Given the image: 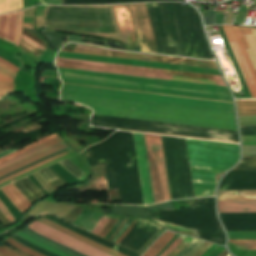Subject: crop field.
<instances>
[{"label": "crop field", "mask_w": 256, "mask_h": 256, "mask_svg": "<svg viewBox=\"0 0 256 256\" xmlns=\"http://www.w3.org/2000/svg\"><path fill=\"white\" fill-rule=\"evenodd\" d=\"M94 114L236 130L234 113L61 93Z\"/></svg>", "instance_id": "1"}, {"label": "crop field", "mask_w": 256, "mask_h": 256, "mask_svg": "<svg viewBox=\"0 0 256 256\" xmlns=\"http://www.w3.org/2000/svg\"><path fill=\"white\" fill-rule=\"evenodd\" d=\"M195 197L214 195V176L233 166L239 146L186 139Z\"/></svg>", "instance_id": "2"}, {"label": "crop field", "mask_w": 256, "mask_h": 256, "mask_svg": "<svg viewBox=\"0 0 256 256\" xmlns=\"http://www.w3.org/2000/svg\"><path fill=\"white\" fill-rule=\"evenodd\" d=\"M56 66L63 68H73V69H83V70H92V71H101V72H110V73H119V74H128V75H137V76H146V77H156V78H166L175 81H185V82H194V83H203V84H213V85H222L226 86L221 78L217 75L206 74L207 79L217 80H201V78H206L205 74L200 73H190V72H180V71H170V70H160V69H150L134 66H125L117 64H108L92 61H83L67 58H56ZM160 71L166 73L153 72Z\"/></svg>", "instance_id": "3"}, {"label": "crop field", "mask_w": 256, "mask_h": 256, "mask_svg": "<svg viewBox=\"0 0 256 256\" xmlns=\"http://www.w3.org/2000/svg\"><path fill=\"white\" fill-rule=\"evenodd\" d=\"M222 26L224 28V31H225V34L227 36L228 41L229 42L236 41L242 55H244V57L246 59V62L248 64L249 69L251 71V74L253 76L252 79H253L254 86H250V84L253 85L252 80H251L252 76H251L250 71L247 67V64L245 62L244 57H242L241 54H240V51H239L236 43L235 42L229 43L231 48H232V51H233V53L236 57V60L239 64V67H240L241 71H242L243 66L241 68V66H240L241 62L239 63V61H242L243 65H244L245 71H246L248 79L250 81V84H249L247 76L245 74L246 80H247L246 83L248 85V88L251 92L252 97L256 98V69L252 70V68L253 69L256 68V29H251L252 35H247V34H251L250 28H241V27H237V26H233V25H222ZM242 35H247V36H243V37H244L249 49H246L248 47H247ZM243 49H246L244 51H245V53H246V55L249 59V62L251 64L252 68H251V66H250V64L247 60V57H246ZM242 63H241V65H242ZM244 68H243V71H244ZM243 71H242V73H243ZM245 71H244V73H245ZM243 76H244V74H243Z\"/></svg>", "instance_id": "4"}, {"label": "crop field", "mask_w": 256, "mask_h": 256, "mask_svg": "<svg viewBox=\"0 0 256 256\" xmlns=\"http://www.w3.org/2000/svg\"><path fill=\"white\" fill-rule=\"evenodd\" d=\"M61 51L217 69L215 63L210 61L115 51L96 46L74 43H69Z\"/></svg>", "instance_id": "5"}, {"label": "crop field", "mask_w": 256, "mask_h": 256, "mask_svg": "<svg viewBox=\"0 0 256 256\" xmlns=\"http://www.w3.org/2000/svg\"><path fill=\"white\" fill-rule=\"evenodd\" d=\"M155 203L170 200L160 136L144 134Z\"/></svg>", "instance_id": "6"}, {"label": "crop field", "mask_w": 256, "mask_h": 256, "mask_svg": "<svg viewBox=\"0 0 256 256\" xmlns=\"http://www.w3.org/2000/svg\"><path fill=\"white\" fill-rule=\"evenodd\" d=\"M128 5L139 42L140 50L145 52L158 53L146 4L136 3Z\"/></svg>", "instance_id": "7"}, {"label": "crop field", "mask_w": 256, "mask_h": 256, "mask_svg": "<svg viewBox=\"0 0 256 256\" xmlns=\"http://www.w3.org/2000/svg\"><path fill=\"white\" fill-rule=\"evenodd\" d=\"M28 228L34 230L38 234L49 238L59 244H62L66 247H69L73 250H76L87 256H110L105 254L95 248H92L84 243H81L57 230H54L38 221L32 223Z\"/></svg>", "instance_id": "8"}, {"label": "crop field", "mask_w": 256, "mask_h": 256, "mask_svg": "<svg viewBox=\"0 0 256 256\" xmlns=\"http://www.w3.org/2000/svg\"><path fill=\"white\" fill-rule=\"evenodd\" d=\"M144 202L154 203L143 134L133 133Z\"/></svg>", "instance_id": "9"}, {"label": "crop field", "mask_w": 256, "mask_h": 256, "mask_svg": "<svg viewBox=\"0 0 256 256\" xmlns=\"http://www.w3.org/2000/svg\"><path fill=\"white\" fill-rule=\"evenodd\" d=\"M117 22L119 25L122 41L124 43L136 44L132 24L130 21L128 9L126 4L113 5Z\"/></svg>", "instance_id": "10"}, {"label": "crop field", "mask_w": 256, "mask_h": 256, "mask_svg": "<svg viewBox=\"0 0 256 256\" xmlns=\"http://www.w3.org/2000/svg\"><path fill=\"white\" fill-rule=\"evenodd\" d=\"M65 148H68V146L64 142H62V143H59V144L54 145L52 147H49L45 150H42L40 152H37V153H35V154L25 158V159L13 164V165H10L6 168L1 169L0 170V177L6 175L8 173H11V172H13V171H15L19 168H22V167H24L28 164H31V163L39 160V159H42V158H44L48 155H51V154H53V153H55L59 150L65 149Z\"/></svg>", "instance_id": "11"}, {"label": "crop field", "mask_w": 256, "mask_h": 256, "mask_svg": "<svg viewBox=\"0 0 256 256\" xmlns=\"http://www.w3.org/2000/svg\"><path fill=\"white\" fill-rule=\"evenodd\" d=\"M18 12L0 16V38L14 43L16 39Z\"/></svg>", "instance_id": "12"}, {"label": "crop field", "mask_w": 256, "mask_h": 256, "mask_svg": "<svg viewBox=\"0 0 256 256\" xmlns=\"http://www.w3.org/2000/svg\"><path fill=\"white\" fill-rule=\"evenodd\" d=\"M38 221H40V222H42V223H44V224H46V225H48V226H50V227H52L54 229H57V230L65 233V234H67V235H69V236H71V237L81 241V242H84V243H86V244H88V245H90L92 247H95V248H97V249H99V250H101L103 252H106V253H108V254H110L112 256H125V255H123L121 253H118V252H116V251H114V250H112V249H110L108 247H105V246H103V245H101V244H99L97 242H94V241H92V240H90V239H88V238H86L84 236H81V235H79V234H77V233H75L73 231H70V230L65 229L63 227L55 225L56 223L53 224V223L47 221L44 218H41Z\"/></svg>", "instance_id": "13"}, {"label": "crop field", "mask_w": 256, "mask_h": 256, "mask_svg": "<svg viewBox=\"0 0 256 256\" xmlns=\"http://www.w3.org/2000/svg\"><path fill=\"white\" fill-rule=\"evenodd\" d=\"M219 213L256 212V201L250 202H218Z\"/></svg>", "instance_id": "14"}, {"label": "crop field", "mask_w": 256, "mask_h": 256, "mask_svg": "<svg viewBox=\"0 0 256 256\" xmlns=\"http://www.w3.org/2000/svg\"><path fill=\"white\" fill-rule=\"evenodd\" d=\"M17 207V209L23 215L24 211L27 210L32 204L11 184L0 189Z\"/></svg>", "instance_id": "15"}, {"label": "crop field", "mask_w": 256, "mask_h": 256, "mask_svg": "<svg viewBox=\"0 0 256 256\" xmlns=\"http://www.w3.org/2000/svg\"><path fill=\"white\" fill-rule=\"evenodd\" d=\"M218 200H256V191H219Z\"/></svg>", "instance_id": "16"}, {"label": "crop field", "mask_w": 256, "mask_h": 256, "mask_svg": "<svg viewBox=\"0 0 256 256\" xmlns=\"http://www.w3.org/2000/svg\"><path fill=\"white\" fill-rule=\"evenodd\" d=\"M174 235V233L168 231L162 234L159 239L147 249L143 256H156Z\"/></svg>", "instance_id": "17"}, {"label": "crop field", "mask_w": 256, "mask_h": 256, "mask_svg": "<svg viewBox=\"0 0 256 256\" xmlns=\"http://www.w3.org/2000/svg\"><path fill=\"white\" fill-rule=\"evenodd\" d=\"M62 140H63V139H62ZM62 140H61L60 137L55 138V139H53V140H50V141H48V142H46V143H44V144H42V145H40V146H38V147H36V148H34V149H32V150L26 152V153H23V154H21V155H19V156H16V157H14V158H12V159H10V160H8V161H6V162L0 164V169L3 168V167L8 166V165H10V164H12V163H14V162L20 160V159H23V158H25V157H27V156H29V155H31V154L37 152V151H40V150H42V149H45V148H47V147H49V146H52V145H54V144H57V143L61 142Z\"/></svg>", "instance_id": "18"}, {"label": "crop field", "mask_w": 256, "mask_h": 256, "mask_svg": "<svg viewBox=\"0 0 256 256\" xmlns=\"http://www.w3.org/2000/svg\"><path fill=\"white\" fill-rule=\"evenodd\" d=\"M239 116H256V101H236Z\"/></svg>", "instance_id": "19"}, {"label": "crop field", "mask_w": 256, "mask_h": 256, "mask_svg": "<svg viewBox=\"0 0 256 256\" xmlns=\"http://www.w3.org/2000/svg\"><path fill=\"white\" fill-rule=\"evenodd\" d=\"M55 137H58V134H57V133L52 134V135H50V136H48V137H46V138H44V139H41V140H39V141H37V142H34V143H32V144H30V145H28V146H26V147H24V148H22V149H20V150H18V151H16V152H14V153H12V154H9V155H7V156H4L3 158L0 159V163L3 162V161H5V160H7V159H9V158H12V157H14V156H16V155H19V154H21V153H23V152H26V151H28V150H30V149H32V148H34V147H36V146H38V145H40V144H42V143H44V142H46V141L52 139V138H55Z\"/></svg>", "instance_id": "20"}, {"label": "crop field", "mask_w": 256, "mask_h": 256, "mask_svg": "<svg viewBox=\"0 0 256 256\" xmlns=\"http://www.w3.org/2000/svg\"><path fill=\"white\" fill-rule=\"evenodd\" d=\"M23 7L22 0H0V14Z\"/></svg>", "instance_id": "21"}, {"label": "crop field", "mask_w": 256, "mask_h": 256, "mask_svg": "<svg viewBox=\"0 0 256 256\" xmlns=\"http://www.w3.org/2000/svg\"><path fill=\"white\" fill-rule=\"evenodd\" d=\"M72 152H74V151L70 150V151H68V152H65V153H62V154H60V155L54 156V157H52V158L46 159V160H44V161H42V162H40V163H38V164H36V165H34V166H32V167H30V168H28V169L22 171V172H19V173L15 174V175H12V176H10V177H7V178L1 180V181H0V184L3 183V182H5V181H7V180H9V179H11V178H14V177H16V176H18V175H21V174L25 173V172H28V171H30V170H32V169L38 167V166H41V165H43V164H45V163H48V162H50V161H52V160H54V159H56V158H58V157L64 156V155L69 154V153H72Z\"/></svg>", "instance_id": "22"}, {"label": "crop field", "mask_w": 256, "mask_h": 256, "mask_svg": "<svg viewBox=\"0 0 256 256\" xmlns=\"http://www.w3.org/2000/svg\"><path fill=\"white\" fill-rule=\"evenodd\" d=\"M17 234L20 235L21 237H23L24 239H26V240H28V241H30V242H32V243L42 247V248H44V249H46L48 251H51V252H53L55 254H58L60 256H69V255H67V254H65V253H63V252H61L59 250L53 249V248H51V247H49V246H47V245H45V244H43L41 242H38V241L34 240L33 238H31L30 236H28L26 234H23L21 232H19Z\"/></svg>", "instance_id": "23"}, {"label": "crop field", "mask_w": 256, "mask_h": 256, "mask_svg": "<svg viewBox=\"0 0 256 256\" xmlns=\"http://www.w3.org/2000/svg\"><path fill=\"white\" fill-rule=\"evenodd\" d=\"M236 250H248L249 244H238L236 240L232 241ZM239 243H250L249 250H256V240H238Z\"/></svg>", "instance_id": "24"}, {"label": "crop field", "mask_w": 256, "mask_h": 256, "mask_svg": "<svg viewBox=\"0 0 256 256\" xmlns=\"http://www.w3.org/2000/svg\"><path fill=\"white\" fill-rule=\"evenodd\" d=\"M4 242L8 243L9 245L13 246L14 248H16V249H18V250H20V251L25 252V253H27V254H30V255H32V256H42V255H40V254H38V253H36V252L30 250V249H28V248H26V247H24V246L18 244L16 241H14V240H12V239H10V238L7 239V240L4 241ZM30 255H29V256H30Z\"/></svg>", "instance_id": "25"}, {"label": "crop field", "mask_w": 256, "mask_h": 256, "mask_svg": "<svg viewBox=\"0 0 256 256\" xmlns=\"http://www.w3.org/2000/svg\"><path fill=\"white\" fill-rule=\"evenodd\" d=\"M20 47H22L25 51L37 56L40 58V56L43 54V51L33 47L32 45H30L29 43L21 40L20 41V44H19Z\"/></svg>", "instance_id": "26"}, {"label": "crop field", "mask_w": 256, "mask_h": 256, "mask_svg": "<svg viewBox=\"0 0 256 256\" xmlns=\"http://www.w3.org/2000/svg\"><path fill=\"white\" fill-rule=\"evenodd\" d=\"M118 217H113L111 218V220L106 224V226L103 228V230L100 232L99 236L101 237H105V235L113 228V226L116 224V222L118 221Z\"/></svg>", "instance_id": "27"}, {"label": "crop field", "mask_w": 256, "mask_h": 256, "mask_svg": "<svg viewBox=\"0 0 256 256\" xmlns=\"http://www.w3.org/2000/svg\"><path fill=\"white\" fill-rule=\"evenodd\" d=\"M233 170H256V161L240 163Z\"/></svg>", "instance_id": "28"}, {"label": "crop field", "mask_w": 256, "mask_h": 256, "mask_svg": "<svg viewBox=\"0 0 256 256\" xmlns=\"http://www.w3.org/2000/svg\"><path fill=\"white\" fill-rule=\"evenodd\" d=\"M0 253L3 254L4 256H26L5 245L2 248L0 247Z\"/></svg>", "instance_id": "29"}, {"label": "crop field", "mask_w": 256, "mask_h": 256, "mask_svg": "<svg viewBox=\"0 0 256 256\" xmlns=\"http://www.w3.org/2000/svg\"><path fill=\"white\" fill-rule=\"evenodd\" d=\"M109 219H110V216L103 215L100 221L95 226V228L92 230V233L98 235V233L101 231V229L108 222Z\"/></svg>", "instance_id": "30"}, {"label": "crop field", "mask_w": 256, "mask_h": 256, "mask_svg": "<svg viewBox=\"0 0 256 256\" xmlns=\"http://www.w3.org/2000/svg\"><path fill=\"white\" fill-rule=\"evenodd\" d=\"M185 239V236L179 235L177 239L166 249V251L161 256H167L170 252H172L178 244Z\"/></svg>", "instance_id": "31"}, {"label": "crop field", "mask_w": 256, "mask_h": 256, "mask_svg": "<svg viewBox=\"0 0 256 256\" xmlns=\"http://www.w3.org/2000/svg\"><path fill=\"white\" fill-rule=\"evenodd\" d=\"M26 230L29 231L30 233H32V234H34V235H36V236H38V237L44 239V240H46V241H48V242H50V243H52V244H54V245H57V246H59V247L65 249V250H68V251H70V252H72V253H74V254H76V255H78V256H84V255L79 254V253H77V252H75V251H72V250H70V249H68V248H66V247H64V246H62V245H59V244H57V243H55V242H53V241H51V240H48V239H46V238H44V237L38 235L37 233H35V232H33V231L27 229V228H26Z\"/></svg>", "instance_id": "32"}, {"label": "crop field", "mask_w": 256, "mask_h": 256, "mask_svg": "<svg viewBox=\"0 0 256 256\" xmlns=\"http://www.w3.org/2000/svg\"><path fill=\"white\" fill-rule=\"evenodd\" d=\"M23 19V10L19 11V21H18V28H17V39H16V46L19 44L20 35H21V24Z\"/></svg>", "instance_id": "33"}, {"label": "crop field", "mask_w": 256, "mask_h": 256, "mask_svg": "<svg viewBox=\"0 0 256 256\" xmlns=\"http://www.w3.org/2000/svg\"><path fill=\"white\" fill-rule=\"evenodd\" d=\"M191 240L193 239L186 237V239L183 242L189 243ZM183 242L169 256H176L187 245V243Z\"/></svg>", "instance_id": "34"}, {"label": "crop field", "mask_w": 256, "mask_h": 256, "mask_svg": "<svg viewBox=\"0 0 256 256\" xmlns=\"http://www.w3.org/2000/svg\"><path fill=\"white\" fill-rule=\"evenodd\" d=\"M14 91V85L0 83L1 93H10Z\"/></svg>", "instance_id": "35"}, {"label": "crop field", "mask_w": 256, "mask_h": 256, "mask_svg": "<svg viewBox=\"0 0 256 256\" xmlns=\"http://www.w3.org/2000/svg\"><path fill=\"white\" fill-rule=\"evenodd\" d=\"M0 210L9 222L12 223V222L16 221L14 219V217L7 211V209L3 206V204L1 202H0Z\"/></svg>", "instance_id": "36"}, {"label": "crop field", "mask_w": 256, "mask_h": 256, "mask_svg": "<svg viewBox=\"0 0 256 256\" xmlns=\"http://www.w3.org/2000/svg\"><path fill=\"white\" fill-rule=\"evenodd\" d=\"M243 154H256V146H243Z\"/></svg>", "instance_id": "37"}, {"label": "crop field", "mask_w": 256, "mask_h": 256, "mask_svg": "<svg viewBox=\"0 0 256 256\" xmlns=\"http://www.w3.org/2000/svg\"><path fill=\"white\" fill-rule=\"evenodd\" d=\"M22 232H24V233H26V234H28V235H30V236L36 238L37 240H39V241H41V242H43V243H45V244H48V245H50V246H52V247H54V248H56V249L62 250V251L66 252V253H68V254H70V255H72V256H75V255H73V254H71V253H69V252H67V251H65V250H63V249H61V248H59V247H57V246H54V245H52V244H50V243H48V242H45V241L39 239L38 237H36V236H34V235L28 233V232L25 231V230H23Z\"/></svg>", "instance_id": "38"}, {"label": "crop field", "mask_w": 256, "mask_h": 256, "mask_svg": "<svg viewBox=\"0 0 256 256\" xmlns=\"http://www.w3.org/2000/svg\"><path fill=\"white\" fill-rule=\"evenodd\" d=\"M68 150H70V148H68V149H66V150H63V151H60V152H58V153H56V154H59V153H61V152L68 151ZM56 154H54V155H56ZM54 155H51V156H54ZM51 156H49V157H51ZM49 157H47V158H49ZM44 159H46V158H44ZM44 159H42V160H44ZM42 160H40V161H42ZM40 161H38V162H40ZM38 162H35V163H33V164H31V165H28V166H26V167H24V168H22V169H19V170L15 171V172H13V173H11V174H8V175H6V176H4V177H2V178H0V179H3V178H5V177H7V176H10V175H12V174H15V173H17V172H19V171H21V170H23V169H25V168H27V167H29V166H32V165H34V164H36V163H38Z\"/></svg>", "instance_id": "39"}, {"label": "crop field", "mask_w": 256, "mask_h": 256, "mask_svg": "<svg viewBox=\"0 0 256 256\" xmlns=\"http://www.w3.org/2000/svg\"><path fill=\"white\" fill-rule=\"evenodd\" d=\"M137 219H133L132 223L130 224L129 228L126 230V232L116 241V243L118 244L127 234L128 232L132 229V227L134 226V224L136 223Z\"/></svg>", "instance_id": "40"}, {"label": "crop field", "mask_w": 256, "mask_h": 256, "mask_svg": "<svg viewBox=\"0 0 256 256\" xmlns=\"http://www.w3.org/2000/svg\"><path fill=\"white\" fill-rule=\"evenodd\" d=\"M212 244L206 243L198 252H196L193 256H201Z\"/></svg>", "instance_id": "41"}, {"label": "crop field", "mask_w": 256, "mask_h": 256, "mask_svg": "<svg viewBox=\"0 0 256 256\" xmlns=\"http://www.w3.org/2000/svg\"><path fill=\"white\" fill-rule=\"evenodd\" d=\"M22 38L26 41H28L29 43H31L32 45L36 46L37 48L41 49V50H45L44 47H42L41 45L37 44L36 42L32 41L31 39L27 38L26 36L22 35Z\"/></svg>", "instance_id": "42"}, {"label": "crop field", "mask_w": 256, "mask_h": 256, "mask_svg": "<svg viewBox=\"0 0 256 256\" xmlns=\"http://www.w3.org/2000/svg\"><path fill=\"white\" fill-rule=\"evenodd\" d=\"M0 62H1L2 64L6 65L7 67H9V68L15 70L16 72L19 70V69L16 68L14 65H12L11 63H9V62H7V61L1 59V58H0Z\"/></svg>", "instance_id": "43"}, {"label": "crop field", "mask_w": 256, "mask_h": 256, "mask_svg": "<svg viewBox=\"0 0 256 256\" xmlns=\"http://www.w3.org/2000/svg\"><path fill=\"white\" fill-rule=\"evenodd\" d=\"M0 82H4V83H13V79L5 77L3 75L0 74Z\"/></svg>", "instance_id": "44"}, {"label": "crop field", "mask_w": 256, "mask_h": 256, "mask_svg": "<svg viewBox=\"0 0 256 256\" xmlns=\"http://www.w3.org/2000/svg\"><path fill=\"white\" fill-rule=\"evenodd\" d=\"M224 249V247L218 246L210 256H218Z\"/></svg>", "instance_id": "45"}, {"label": "crop field", "mask_w": 256, "mask_h": 256, "mask_svg": "<svg viewBox=\"0 0 256 256\" xmlns=\"http://www.w3.org/2000/svg\"><path fill=\"white\" fill-rule=\"evenodd\" d=\"M217 247V245L213 244L202 256H209Z\"/></svg>", "instance_id": "46"}, {"label": "crop field", "mask_w": 256, "mask_h": 256, "mask_svg": "<svg viewBox=\"0 0 256 256\" xmlns=\"http://www.w3.org/2000/svg\"><path fill=\"white\" fill-rule=\"evenodd\" d=\"M178 236V234H176L175 236H174V238L169 242V244L157 255V256H160L163 252H164V250L175 240V238Z\"/></svg>", "instance_id": "47"}, {"label": "crop field", "mask_w": 256, "mask_h": 256, "mask_svg": "<svg viewBox=\"0 0 256 256\" xmlns=\"http://www.w3.org/2000/svg\"><path fill=\"white\" fill-rule=\"evenodd\" d=\"M0 73L3 74V75H6V76L12 77V78H14V76H15L14 74L8 73V72L3 71L1 69H0Z\"/></svg>", "instance_id": "48"}, {"label": "crop field", "mask_w": 256, "mask_h": 256, "mask_svg": "<svg viewBox=\"0 0 256 256\" xmlns=\"http://www.w3.org/2000/svg\"><path fill=\"white\" fill-rule=\"evenodd\" d=\"M0 68L5 69V70H7V71H9V72L16 73V72L12 71L11 69L7 68L6 66H4V65H2V64H0Z\"/></svg>", "instance_id": "49"}, {"label": "crop field", "mask_w": 256, "mask_h": 256, "mask_svg": "<svg viewBox=\"0 0 256 256\" xmlns=\"http://www.w3.org/2000/svg\"><path fill=\"white\" fill-rule=\"evenodd\" d=\"M23 27L33 28V26H32V25H30V24H26V23H23ZM33 29H34V28H33Z\"/></svg>", "instance_id": "50"}, {"label": "crop field", "mask_w": 256, "mask_h": 256, "mask_svg": "<svg viewBox=\"0 0 256 256\" xmlns=\"http://www.w3.org/2000/svg\"><path fill=\"white\" fill-rule=\"evenodd\" d=\"M228 253L224 250L219 256H226Z\"/></svg>", "instance_id": "51"}, {"label": "crop field", "mask_w": 256, "mask_h": 256, "mask_svg": "<svg viewBox=\"0 0 256 256\" xmlns=\"http://www.w3.org/2000/svg\"><path fill=\"white\" fill-rule=\"evenodd\" d=\"M5 95H7V94H0V96H5Z\"/></svg>", "instance_id": "52"}, {"label": "crop field", "mask_w": 256, "mask_h": 256, "mask_svg": "<svg viewBox=\"0 0 256 256\" xmlns=\"http://www.w3.org/2000/svg\"><path fill=\"white\" fill-rule=\"evenodd\" d=\"M3 150L2 149H0V152H2Z\"/></svg>", "instance_id": "53"}, {"label": "crop field", "mask_w": 256, "mask_h": 256, "mask_svg": "<svg viewBox=\"0 0 256 256\" xmlns=\"http://www.w3.org/2000/svg\"><path fill=\"white\" fill-rule=\"evenodd\" d=\"M3 97H0V99H2Z\"/></svg>", "instance_id": "54"}, {"label": "crop field", "mask_w": 256, "mask_h": 256, "mask_svg": "<svg viewBox=\"0 0 256 256\" xmlns=\"http://www.w3.org/2000/svg\"><path fill=\"white\" fill-rule=\"evenodd\" d=\"M227 256H230L229 254Z\"/></svg>", "instance_id": "55"}, {"label": "crop field", "mask_w": 256, "mask_h": 256, "mask_svg": "<svg viewBox=\"0 0 256 256\" xmlns=\"http://www.w3.org/2000/svg\"><path fill=\"white\" fill-rule=\"evenodd\" d=\"M0 256H2V255L0 254Z\"/></svg>", "instance_id": "56"}]
</instances>
